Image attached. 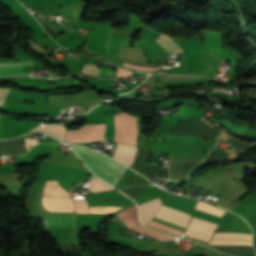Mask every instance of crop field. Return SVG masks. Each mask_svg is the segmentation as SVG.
<instances>
[{
	"instance_id": "8a807250",
	"label": "crop field",
	"mask_w": 256,
	"mask_h": 256,
	"mask_svg": "<svg viewBox=\"0 0 256 256\" xmlns=\"http://www.w3.org/2000/svg\"><path fill=\"white\" fill-rule=\"evenodd\" d=\"M76 153L77 155L85 162V164L89 167V169L92 171L93 174L98 176L99 178L103 179L107 183L111 185H115V183L118 181L115 178L119 179V177L125 172L126 168L125 166L117 163L116 161L108 158L105 155L93 152L91 150L86 149V151L91 155V157L95 160V162L106 172L110 173L114 177H112L110 174L104 172L95 162L94 160L89 156V154L84 150L83 147L80 146H71L69 145Z\"/></svg>"
},
{
	"instance_id": "ac0d7876",
	"label": "crop field",
	"mask_w": 256,
	"mask_h": 256,
	"mask_svg": "<svg viewBox=\"0 0 256 256\" xmlns=\"http://www.w3.org/2000/svg\"><path fill=\"white\" fill-rule=\"evenodd\" d=\"M219 134L220 131L211 128L201 119L194 117L184 121L183 123L170 130L168 136L194 135L209 140H216Z\"/></svg>"
},
{
	"instance_id": "34b2d1b8",
	"label": "crop field",
	"mask_w": 256,
	"mask_h": 256,
	"mask_svg": "<svg viewBox=\"0 0 256 256\" xmlns=\"http://www.w3.org/2000/svg\"><path fill=\"white\" fill-rule=\"evenodd\" d=\"M47 230L73 229L74 214L49 213L44 221ZM55 239L75 238L73 230L48 231Z\"/></svg>"
},
{
	"instance_id": "412701ff",
	"label": "crop field",
	"mask_w": 256,
	"mask_h": 256,
	"mask_svg": "<svg viewBox=\"0 0 256 256\" xmlns=\"http://www.w3.org/2000/svg\"><path fill=\"white\" fill-rule=\"evenodd\" d=\"M115 140L136 145L137 121L135 116L124 112L115 115Z\"/></svg>"
},
{
	"instance_id": "f4fd0767",
	"label": "crop field",
	"mask_w": 256,
	"mask_h": 256,
	"mask_svg": "<svg viewBox=\"0 0 256 256\" xmlns=\"http://www.w3.org/2000/svg\"><path fill=\"white\" fill-rule=\"evenodd\" d=\"M105 124L83 126L78 130L67 131L66 142H92L96 140H105Z\"/></svg>"
},
{
	"instance_id": "dd49c442",
	"label": "crop field",
	"mask_w": 256,
	"mask_h": 256,
	"mask_svg": "<svg viewBox=\"0 0 256 256\" xmlns=\"http://www.w3.org/2000/svg\"><path fill=\"white\" fill-rule=\"evenodd\" d=\"M203 159H170V179L184 180Z\"/></svg>"
},
{
	"instance_id": "e52e79f7",
	"label": "crop field",
	"mask_w": 256,
	"mask_h": 256,
	"mask_svg": "<svg viewBox=\"0 0 256 256\" xmlns=\"http://www.w3.org/2000/svg\"><path fill=\"white\" fill-rule=\"evenodd\" d=\"M216 227L217 224L193 217L184 235L209 242V238L211 237Z\"/></svg>"
},
{
	"instance_id": "d8731c3e",
	"label": "crop field",
	"mask_w": 256,
	"mask_h": 256,
	"mask_svg": "<svg viewBox=\"0 0 256 256\" xmlns=\"http://www.w3.org/2000/svg\"><path fill=\"white\" fill-rule=\"evenodd\" d=\"M155 217L177 224L184 228L187 227V224L191 218V216L188 214H185L175 209L165 207L163 205L159 210V212L155 215Z\"/></svg>"
},
{
	"instance_id": "5a996713",
	"label": "crop field",
	"mask_w": 256,
	"mask_h": 256,
	"mask_svg": "<svg viewBox=\"0 0 256 256\" xmlns=\"http://www.w3.org/2000/svg\"><path fill=\"white\" fill-rule=\"evenodd\" d=\"M44 208L51 212H73L74 206L71 198H42Z\"/></svg>"
},
{
	"instance_id": "3316defc",
	"label": "crop field",
	"mask_w": 256,
	"mask_h": 256,
	"mask_svg": "<svg viewBox=\"0 0 256 256\" xmlns=\"http://www.w3.org/2000/svg\"><path fill=\"white\" fill-rule=\"evenodd\" d=\"M130 168L143 174L147 178L150 177L152 174L168 175V172L148 171L149 163H148L147 153H146L145 149L141 148V147H140L139 152L133 162V165Z\"/></svg>"
},
{
	"instance_id": "28ad6ade",
	"label": "crop field",
	"mask_w": 256,
	"mask_h": 256,
	"mask_svg": "<svg viewBox=\"0 0 256 256\" xmlns=\"http://www.w3.org/2000/svg\"><path fill=\"white\" fill-rule=\"evenodd\" d=\"M136 152L137 147L135 146L117 143L113 158L130 167L135 158Z\"/></svg>"
},
{
	"instance_id": "d1516ede",
	"label": "crop field",
	"mask_w": 256,
	"mask_h": 256,
	"mask_svg": "<svg viewBox=\"0 0 256 256\" xmlns=\"http://www.w3.org/2000/svg\"><path fill=\"white\" fill-rule=\"evenodd\" d=\"M26 153L23 147V137L10 141H0V155H20Z\"/></svg>"
},
{
	"instance_id": "22f410ed",
	"label": "crop field",
	"mask_w": 256,
	"mask_h": 256,
	"mask_svg": "<svg viewBox=\"0 0 256 256\" xmlns=\"http://www.w3.org/2000/svg\"><path fill=\"white\" fill-rule=\"evenodd\" d=\"M161 205L159 198L139 205L141 221L146 224L157 213Z\"/></svg>"
},
{
	"instance_id": "cbeb9de0",
	"label": "crop field",
	"mask_w": 256,
	"mask_h": 256,
	"mask_svg": "<svg viewBox=\"0 0 256 256\" xmlns=\"http://www.w3.org/2000/svg\"><path fill=\"white\" fill-rule=\"evenodd\" d=\"M167 54L181 53L183 50L167 35H161L154 40Z\"/></svg>"
},
{
	"instance_id": "5142ce71",
	"label": "crop field",
	"mask_w": 256,
	"mask_h": 256,
	"mask_svg": "<svg viewBox=\"0 0 256 256\" xmlns=\"http://www.w3.org/2000/svg\"><path fill=\"white\" fill-rule=\"evenodd\" d=\"M33 65L32 61L22 62V63H0V75H12L16 73H24L22 67H27ZM28 74V73H24ZM22 75V74H16Z\"/></svg>"
},
{
	"instance_id": "d9b57169",
	"label": "crop field",
	"mask_w": 256,
	"mask_h": 256,
	"mask_svg": "<svg viewBox=\"0 0 256 256\" xmlns=\"http://www.w3.org/2000/svg\"><path fill=\"white\" fill-rule=\"evenodd\" d=\"M117 215L130 229L137 225H141L137 219V210L135 206L130 207Z\"/></svg>"
},
{
	"instance_id": "733c2abd",
	"label": "crop field",
	"mask_w": 256,
	"mask_h": 256,
	"mask_svg": "<svg viewBox=\"0 0 256 256\" xmlns=\"http://www.w3.org/2000/svg\"><path fill=\"white\" fill-rule=\"evenodd\" d=\"M217 249L225 251L227 253L240 255L241 253H246L250 256H255L253 247L250 246H213Z\"/></svg>"
},
{
	"instance_id": "4a817a6b",
	"label": "crop field",
	"mask_w": 256,
	"mask_h": 256,
	"mask_svg": "<svg viewBox=\"0 0 256 256\" xmlns=\"http://www.w3.org/2000/svg\"><path fill=\"white\" fill-rule=\"evenodd\" d=\"M67 128L62 125L40 127L37 130L52 135L65 142L64 132Z\"/></svg>"
},
{
	"instance_id": "bc2a9ffb",
	"label": "crop field",
	"mask_w": 256,
	"mask_h": 256,
	"mask_svg": "<svg viewBox=\"0 0 256 256\" xmlns=\"http://www.w3.org/2000/svg\"><path fill=\"white\" fill-rule=\"evenodd\" d=\"M93 65V64H91ZM114 70L109 69H97L96 66L84 65L83 66V74L88 75H100V76H113Z\"/></svg>"
},
{
	"instance_id": "214f88e0",
	"label": "crop field",
	"mask_w": 256,
	"mask_h": 256,
	"mask_svg": "<svg viewBox=\"0 0 256 256\" xmlns=\"http://www.w3.org/2000/svg\"><path fill=\"white\" fill-rule=\"evenodd\" d=\"M133 230H135L137 232L144 233V234H146L148 236H151V237H154V238H158V239H163V240L173 239V237H171V236L161 234L159 232H156V231H154L152 229H149L147 227H144V226L135 227V228H133Z\"/></svg>"
},
{
	"instance_id": "92a150f3",
	"label": "crop field",
	"mask_w": 256,
	"mask_h": 256,
	"mask_svg": "<svg viewBox=\"0 0 256 256\" xmlns=\"http://www.w3.org/2000/svg\"><path fill=\"white\" fill-rule=\"evenodd\" d=\"M196 209H199V210H202V211H205V212H209V213H212V214H215V215H218V216H222L225 213V211L220 210L216 207H213V206L208 205V204H206L204 202H201V201L198 202V205H197Z\"/></svg>"
},
{
	"instance_id": "dafd665d",
	"label": "crop field",
	"mask_w": 256,
	"mask_h": 256,
	"mask_svg": "<svg viewBox=\"0 0 256 256\" xmlns=\"http://www.w3.org/2000/svg\"><path fill=\"white\" fill-rule=\"evenodd\" d=\"M252 234L246 233H216L214 238H234L251 240Z\"/></svg>"
},
{
	"instance_id": "00972430",
	"label": "crop field",
	"mask_w": 256,
	"mask_h": 256,
	"mask_svg": "<svg viewBox=\"0 0 256 256\" xmlns=\"http://www.w3.org/2000/svg\"><path fill=\"white\" fill-rule=\"evenodd\" d=\"M110 189H113V188L109 187L99 179L93 177L89 190H91L92 192H98V191H105Z\"/></svg>"
},
{
	"instance_id": "a9b5d70f",
	"label": "crop field",
	"mask_w": 256,
	"mask_h": 256,
	"mask_svg": "<svg viewBox=\"0 0 256 256\" xmlns=\"http://www.w3.org/2000/svg\"><path fill=\"white\" fill-rule=\"evenodd\" d=\"M148 225H150L152 227H155V228H158L160 230L166 231L168 233L174 234L176 236H179L181 233H183L182 231H180L178 229H175V228H172V227H169V226H166V225L154 222L152 220L148 223Z\"/></svg>"
},
{
	"instance_id": "4177f3b9",
	"label": "crop field",
	"mask_w": 256,
	"mask_h": 256,
	"mask_svg": "<svg viewBox=\"0 0 256 256\" xmlns=\"http://www.w3.org/2000/svg\"><path fill=\"white\" fill-rule=\"evenodd\" d=\"M229 154L219 152L215 149L209 154L205 162L225 161Z\"/></svg>"
},
{
	"instance_id": "730fd06b",
	"label": "crop field",
	"mask_w": 256,
	"mask_h": 256,
	"mask_svg": "<svg viewBox=\"0 0 256 256\" xmlns=\"http://www.w3.org/2000/svg\"><path fill=\"white\" fill-rule=\"evenodd\" d=\"M148 186H136V187H131V188H125V189H120L124 193H126L128 196H130L133 199H137L138 195L147 188Z\"/></svg>"
},
{
	"instance_id": "eef30255",
	"label": "crop field",
	"mask_w": 256,
	"mask_h": 256,
	"mask_svg": "<svg viewBox=\"0 0 256 256\" xmlns=\"http://www.w3.org/2000/svg\"><path fill=\"white\" fill-rule=\"evenodd\" d=\"M210 244L211 245H250L252 246V242L236 241V240H212Z\"/></svg>"
},
{
	"instance_id": "ae1a2a85",
	"label": "crop field",
	"mask_w": 256,
	"mask_h": 256,
	"mask_svg": "<svg viewBox=\"0 0 256 256\" xmlns=\"http://www.w3.org/2000/svg\"><path fill=\"white\" fill-rule=\"evenodd\" d=\"M138 184H151V183L135 172L133 176L128 180L125 187L131 186V185H138Z\"/></svg>"
},
{
	"instance_id": "d3111659",
	"label": "crop field",
	"mask_w": 256,
	"mask_h": 256,
	"mask_svg": "<svg viewBox=\"0 0 256 256\" xmlns=\"http://www.w3.org/2000/svg\"><path fill=\"white\" fill-rule=\"evenodd\" d=\"M126 67H130V68H133V69H138V70H144V71H155V70H158V66L157 67H154V66H150V65H147V64H143V65H137V64H132V63H128L126 62L125 65ZM160 69H163V65L159 66Z\"/></svg>"
},
{
	"instance_id": "750c4746",
	"label": "crop field",
	"mask_w": 256,
	"mask_h": 256,
	"mask_svg": "<svg viewBox=\"0 0 256 256\" xmlns=\"http://www.w3.org/2000/svg\"><path fill=\"white\" fill-rule=\"evenodd\" d=\"M24 100L34 102V103H46L45 96L37 95V94H27Z\"/></svg>"
},
{
	"instance_id": "bd1437ed",
	"label": "crop field",
	"mask_w": 256,
	"mask_h": 256,
	"mask_svg": "<svg viewBox=\"0 0 256 256\" xmlns=\"http://www.w3.org/2000/svg\"><path fill=\"white\" fill-rule=\"evenodd\" d=\"M227 141L236 145L234 148V150H236V151H244L250 147V144H245V143H242V142L230 139V138H228Z\"/></svg>"
},
{
	"instance_id": "1d83c4d3",
	"label": "crop field",
	"mask_w": 256,
	"mask_h": 256,
	"mask_svg": "<svg viewBox=\"0 0 256 256\" xmlns=\"http://www.w3.org/2000/svg\"><path fill=\"white\" fill-rule=\"evenodd\" d=\"M25 141H26V147H27V150H28L32 145L37 144L38 140L25 138Z\"/></svg>"
},
{
	"instance_id": "120bbe31",
	"label": "crop field",
	"mask_w": 256,
	"mask_h": 256,
	"mask_svg": "<svg viewBox=\"0 0 256 256\" xmlns=\"http://www.w3.org/2000/svg\"><path fill=\"white\" fill-rule=\"evenodd\" d=\"M9 89H1L0 88V97H4L6 96L7 92H8Z\"/></svg>"
},
{
	"instance_id": "d32e631a",
	"label": "crop field",
	"mask_w": 256,
	"mask_h": 256,
	"mask_svg": "<svg viewBox=\"0 0 256 256\" xmlns=\"http://www.w3.org/2000/svg\"><path fill=\"white\" fill-rule=\"evenodd\" d=\"M3 101H4V100L0 99V106H1V107H2V105H3Z\"/></svg>"
},
{
	"instance_id": "5866460e",
	"label": "crop field",
	"mask_w": 256,
	"mask_h": 256,
	"mask_svg": "<svg viewBox=\"0 0 256 256\" xmlns=\"http://www.w3.org/2000/svg\"><path fill=\"white\" fill-rule=\"evenodd\" d=\"M35 44V43H34ZM37 45V44H36ZM37 46H39V45H37ZM40 47V46H39ZM41 48V47H40Z\"/></svg>"
},
{
	"instance_id": "028f5c9d",
	"label": "crop field",
	"mask_w": 256,
	"mask_h": 256,
	"mask_svg": "<svg viewBox=\"0 0 256 256\" xmlns=\"http://www.w3.org/2000/svg\"><path fill=\"white\" fill-rule=\"evenodd\" d=\"M255 244H256V239H255Z\"/></svg>"
}]
</instances>
